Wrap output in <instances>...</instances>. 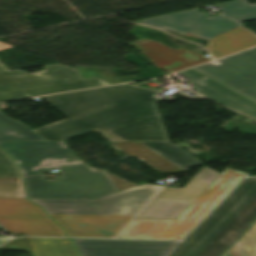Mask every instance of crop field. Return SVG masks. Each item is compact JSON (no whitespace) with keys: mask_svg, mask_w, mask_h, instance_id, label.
Returning a JSON list of instances; mask_svg holds the SVG:
<instances>
[{"mask_svg":"<svg viewBox=\"0 0 256 256\" xmlns=\"http://www.w3.org/2000/svg\"><path fill=\"white\" fill-rule=\"evenodd\" d=\"M218 8L220 13L216 17L189 10L150 18L139 24L180 34L192 33L207 40L241 25L244 21L256 20V4L251 6L245 0L223 3Z\"/></svg>","mask_w":256,"mask_h":256,"instance_id":"obj_6","label":"crop field"},{"mask_svg":"<svg viewBox=\"0 0 256 256\" xmlns=\"http://www.w3.org/2000/svg\"><path fill=\"white\" fill-rule=\"evenodd\" d=\"M180 73L188 77L189 81L196 85L194 89L198 93L214 101L220 102L236 111L246 113L256 119V104L231 92L191 69Z\"/></svg>","mask_w":256,"mask_h":256,"instance_id":"obj_13","label":"crop field"},{"mask_svg":"<svg viewBox=\"0 0 256 256\" xmlns=\"http://www.w3.org/2000/svg\"><path fill=\"white\" fill-rule=\"evenodd\" d=\"M0 176H20L13 161L0 149Z\"/></svg>","mask_w":256,"mask_h":256,"instance_id":"obj_22","label":"crop field"},{"mask_svg":"<svg viewBox=\"0 0 256 256\" xmlns=\"http://www.w3.org/2000/svg\"><path fill=\"white\" fill-rule=\"evenodd\" d=\"M0 146L23 176L59 169L62 179L23 178L28 198L96 199L118 191L103 172L94 173L64 142H0Z\"/></svg>","mask_w":256,"mask_h":256,"instance_id":"obj_2","label":"crop field"},{"mask_svg":"<svg viewBox=\"0 0 256 256\" xmlns=\"http://www.w3.org/2000/svg\"><path fill=\"white\" fill-rule=\"evenodd\" d=\"M0 249L26 250L31 256H77L69 239L19 238Z\"/></svg>","mask_w":256,"mask_h":256,"instance_id":"obj_14","label":"crop field"},{"mask_svg":"<svg viewBox=\"0 0 256 256\" xmlns=\"http://www.w3.org/2000/svg\"><path fill=\"white\" fill-rule=\"evenodd\" d=\"M66 236L113 238L134 215H49Z\"/></svg>","mask_w":256,"mask_h":256,"instance_id":"obj_11","label":"crop field"},{"mask_svg":"<svg viewBox=\"0 0 256 256\" xmlns=\"http://www.w3.org/2000/svg\"><path fill=\"white\" fill-rule=\"evenodd\" d=\"M158 91L130 84L43 97L68 119L34 130L63 141L99 128L124 140H169L153 97Z\"/></svg>","mask_w":256,"mask_h":256,"instance_id":"obj_1","label":"crop field"},{"mask_svg":"<svg viewBox=\"0 0 256 256\" xmlns=\"http://www.w3.org/2000/svg\"><path fill=\"white\" fill-rule=\"evenodd\" d=\"M148 148L157 152L169 161L173 162L181 169H186L196 165L204 164L199 159L187 153L170 141H140Z\"/></svg>","mask_w":256,"mask_h":256,"instance_id":"obj_18","label":"crop field"},{"mask_svg":"<svg viewBox=\"0 0 256 256\" xmlns=\"http://www.w3.org/2000/svg\"><path fill=\"white\" fill-rule=\"evenodd\" d=\"M256 45V34L242 26L208 40L206 49L215 57Z\"/></svg>","mask_w":256,"mask_h":256,"instance_id":"obj_15","label":"crop field"},{"mask_svg":"<svg viewBox=\"0 0 256 256\" xmlns=\"http://www.w3.org/2000/svg\"><path fill=\"white\" fill-rule=\"evenodd\" d=\"M0 198H26L21 178H0Z\"/></svg>","mask_w":256,"mask_h":256,"instance_id":"obj_21","label":"crop field"},{"mask_svg":"<svg viewBox=\"0 0 256 256\" xmlns=\"http://www.w3.org/2000/svg\"><path fill=\"white\" fill-rule=\"evenodd\" d=\"M0 141H44V139L0 111Z\"/></svg>","mask_w":256,"mask_h":256,"instance_id":"obj_19","label":"crop field"},{"mask_svg":"<svg viewBox=\"0 0 256 256\" xmlns=\"http://www.w3.org/2000/svg\"><path fill=\"white\" fill-rule=\"evenodd\" d=\"M218 175L204 166L183 189H163L135 218H177Z\"/></svg>","mask_w":256,"mask_h":256,"instance_id":"obj_9","label":"crop field"},{"mask_svg":"<svg viewBox=\"0 0 256 256\" xmlns=\"http://www.w3.org/2000/svg\"><path fill=\"white\" fill-rule=\"evenodd\" d=\"M80 256H166L179 242L73 239Z\"/></svg>","mask_w":256,"mask_h":256,"instance_id":"obj_10","label":"crop field"},{"mask_svg":"<svg viewBox=\"0 0 256 256\" xmlns=\"http://www.w3.org/2000/svg\"><path fill=\"white\" fill-rule=\"evenodd\" d=\"M110 142L111 145H113L126 155H133L161 172L178 173L182 171L179 167L169 162L165 158L161 157L160 155L156 154L152 150L148 149L139 141Z\"/></svg>","mask_w":256,"mask_h":256,"instance_id":"obj_17","label":"crop field"},{"mask_svg":"<svg viewBox=\"0 0 256 256\" xmlns=\"http://www.w3.org/2000/svg\"><path fill=\"white\" fill-rule=\"evenodd\" d=\"M0 216L47 217L40 206L26 199H0Z\"/></svg>","mask_w":256,"mask_h":256,"instance_id":"obj_20","label":"crop field"},{"mask_svg":"<svg viewBox=\"0 0 256 256\" xmlns=\"http://www.w3.org/2000/svg\"><path fill=\"white\" fill-rule=\"evenodd\" d=\"M44 68L29 74L21 70L9 71L0 64V101L108 85L97 77L82 79L75 68L62 65Z\"/></svg>","mask_w":256,"mask_h":256,"instance_id":"obj_5","label":"crop field"},{"mask_svg":"<svg viewBox=\"0 0 256 256\" xmlns=\"http://www.w3.org/2000/svg\"><path fill=\"white\" fill-rule=\"evenodd\" d=\"M97 132L103 134L108 140H118V141H124L122 138L112 134L110 131H105V130H97ZM102 135V136H103Z\"/></svg>","mask_w":256,"mask_h":256,"instance_id":"obj_24","label":"crop field"},{"mask_svg":"<svg viewBox=\"0 0 256 256\" xmlns=\"http://www.w3.org/2000/svg\"><path fill=\"white\" fill-rule=\"evenodd\" d=\"M9 238H11V237H0V245L2 243H4L5 241H7Z\"/></svg>","mask_w":256,"mask_h":256,"instance_id":"obj_26","label":"crop field"},{"mask_svg":"<svg viewBox=\"0 0 256 256\" xmlns=\"http://www.w3.org/2000/svg\"><path fill=\"white\" fill-rule=\"evenodd\" d=\"M0 225L12 234L64 236L50 218L0 217Z\"/></svg>","mask_w":256,"mask_h":256,"instance_id":"obj_16","label":"crop field"},{"mask_svg":"<svg viewBox=\"0 0 256 256\" xmlns=\"http://www.w3.org/2000/svg\"><path fill=\"white\" fill-rule=\"evenodd\" d=\"M244 175L226 168L176 220L133 219L116 238L181 239Z\"/></svg>","mask_w":256,"mask_h":256,"instance_id":"obj_4","label":"crop field"},{"mask_svg":"<svg viewBox=\"0 0 256 256\" xmlns=\"http://www.w3.org/2000/svg\"><path fill=\"white\" fill-rule=\"evenodd\" d=\"M11 47L12 46L9 45V44H5V43L0 42V49L11 48Z\"/></svg>","mask_w":256,"mask_h":256,"instance_id":"obj_25","label":"crop field"},{"mask_svg":"<svg viewBox=\"0 0 256 256\" xmlns=\"http://www.w3.org/2000/svg\"><path fill=\"white\" fill-rule=\"evenodd\" d=\"M169 256H256V178L244 180Z\"/></svg>","mask_w":256,"mask_h":256,"instance_id":"obj_3","label":"crop field"},{"mask_svg":"<svg viewBox=\"0 0 256 256\" xmlns=\"http://www.w3.org/2000/svg\"><path fill=\"white\" fill-rule=\"evenodd\" d=\"M163 186L145 184L96 200L29 199L47 214H136Z\"/></svg>","mask_w":256,"mask_h":256,"instance_id":"obj_7","label":"crop field"},{"mask_svg":"<svg viewBox=\"0 0 256 256\" xmlns=\"http://www.w3.org/2000/svg\"><path fill=\"white\" fill-rule=\"evenodd\" d=\"M149 57L156 67L172 73L208 61L206 57L182 48L170 49L157 41L142 39L128 44Z\"/></svg>","mask_w":256,"mask_h":256,"instance_id":"obj_12","label":"crop field"},{"mask_svg":"<svg viewBox=\"0 0 256 256\" xmlns=\"http://www.w3.org/2000/svg\"><path fill=\"white\" fill-rule=\"evenodd\" d=\"M94 172H100V170H97V169H94V168H91ZM112 181L113 183L116 185V187L119 189V191L121 190H125V189H128V188H132V187H136L130 183H127L119 178H116L106 172H104Z\"/></svg>","mask_w":256,"mask_h":256,"instance_id":"obj_23","label":"crop field"},{"mask_svg":"<svg viewBox=\"0 0 256 256\" xmlns=\"http://www.w3.org/2000/svg\"><path fill=\"white\" fill-rule=\"evenodd\" d=\"M192 68L256 103V48Z\"/></svg>","mask_w":256,"mask_h":256,"instance_id":"obj_8","label":"crop field"}]
</instances>
